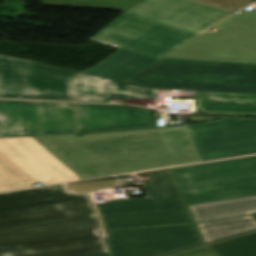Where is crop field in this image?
Wrapping results in <instances>:
<instances>
[{"label": "crop field", "mask_w": 256, "mask_h": 256, "mask_svg": "<svg viewBox=\"0 0 256 256\" xmlns=\"http://www.w3.org/2000/svg\"><path fill=\"white\" fill-rule=\"evenodd\" d=\"M88 194L39 188L0 194V256H159L203 244L196 225L105 231Z\"/></svg>", "instance_id": "1"}, {"label": "crop field", "mask_w": 256, "mask_h": 256, "mask_svg": "<svg viewBox=\"0 0 256 256\" xmlns=\"http://www.w3.org/2000/svg\"><path fill=\"white\" fill-rule=\"evenodd\" d=\"M33 137L83 179L256 154V119Z\"/></svg>", "instance_id": "2"}, {"label": "crop field", "mask_w": 256, "mask_h": 256, "mask_svg": "<svg viewBox=\"0 0 256 256\" xmlns=\"http://www.w3.org/2000/svg\"><path fill=\"white\" fill-rule=\"evenodd\" d=\"M232 13L195 0H143L91 38L120 50L84 73L123 81Z\"/></svg>", "instance_id": "3"}, {"label": "crop field", "mask_w": 256, "mask_h": 256, "mask_svg": "<svg viewBox=\"0 0 256 256\" xmlns=\"http://www.w3.org/2000/svg\"><path fill=\"white\" fill-rule=\"evenodd\" d=\"M150 99L154 89L0 55V98L106 102Z\"/></svg>", "instance_id": "4"}, {"label": "crop field", "mask_w": 256, "mask_h": 256, "mask_svg": "<svg viewBox=\"0 0 256 256\" xmlns=\"http://www.w3.org/2000/svg\"><path fill=\"white\" fill-rule=\"evenodd\" d=\"M125 82L151 88L256 93V65L162 58Z\"/></svg>", "instance_id": "5"}, {"label": "crop field", "mask_w": 256, "mask_h": 256, "mask_svg": "<svg viewBox=\"0 0 256 256\" xmlns=\"http://www.w3.org/2000/svg\"><path fill=\"white\" fill-rule=\"evenodd\" d=\"M171 171L188 205L256 195V156Z\"/></svg>", "instance_id": "6"}, {"label": "crop field", "mask_w": 256, "mask_h": 256, "mask_svg": "<svg viewBox=\"0 0 256 256\" xmlns=\"http://www.w3.org/2000/svg\"><path fill=\"white\" fill-rule=\"evenodd\" d=\"M215 27L202 32L165 57L219 60L256 64V10L235 13Z\"/></svg>", "instance_id": "7"}, {"label": "crop field", "mask_w": 256, "mask_h": 256, "mask_svg": "<svg viewBox=\"0 0 256 256\" xmlns=\"http://www.w3.org/2000/svg\"><path fill=\"white\" fill-rule=\"evenodd\" d=\"M74 133L73 103L0 100V138Z\"/></svg>", "instance_id": "8"}, {"label": "crop field", "mask_w": 256, "mask_h": 256, "mask_svg": "<svg viewBox=\"0 0 256 256\" xmlns=\"http://www.w3.org/2000/svg\"><path fill=\"white\" fill-rule=\"evenodd\" d=\"M96 205L105 230L194 223L182 196L115 200Z\"/></svg>", "instance_id": "9"}, {"label": "crop field", "mask_w": 256, "mask_h": 256, "mask_svg": "<svg viewBox=\"0 0 256 256\" xmlns=\"http://www.w3.org/2000/svg\"><path fill=\"white\" fill-rule=\"evenodd\" d=\"M0 149L36 182L50 185L82 179L32 137L1 138Z\"/></svg>", "instance_id": "10"}, {"label": "crop field", "mask_w": 256, "mask_h": 256, "mask_svg": "<svg viewBox=\"0 0 256 256\" xmlns=\"http://www.w3.org/2000/svg\"><path fill=\"white\" fill-rule=\"evenodd\" d=\"M78 133L152 127L151 110L128 105L76 104Z\"/></svg>", "instance_id": "11"}, {"label": "crop field", "mask_w": 256, "mask_h": 256, "mask_svg": "<svg viewBox=\"0 0 256 256\" xmlns=\"http://www.w3.org/2000/svg\"><path fill=\"white\" fill-rule=\"evenodd\" d=\"M197 109L203 113L256 115V94L196 91Z\"/></svg>", "instance_id": "12"}, {"label": "crop field", "mask_w": 256, "mask_h": 256, "mask_svg": "<svg viewBox=\"0 0 256 256\" xmlns=\"http://www.w3.org/2000/svg\"><path fill=\"white\" fill-rule=\"evenodd\" d=\"M195 223L256 213V196L188 206Z\"/></svg>", "instance_id": "13"}, {"label": "crop field", "mask_w": 256, "mask_h": 256, "mask_svg": "<svg viewBox=\"0 0 256 256\" xmlns=\"http://www.w3.org/2000/svg\"><path fill=\"white\" fill-rule=\"evenodd\" d=\"M141 0H43V4L127 10ZM228 10L237 11L252 0H198Z\"/></svg>", "instance_id": "14"}, {"label": "crop field", "mask_w": 256, "mask_h": 256, "mask_svg": "<svg viewBox=\"0 0 256 256\" xmlns=\"http://www.w3.org/2000/svg\"><path fill=\"white\" fill-rule=\"evenodd\" d=\"M204 242L213 241L256 228L252 216L196 224Z\"/></svg>", "instance_id": "15"}, {"label": "crop field", "mask_w": 256, "mask_h": 256, "mask_svg": "<svg viewBox=\"0 0 256 256\" xmlns=\"http://www.w3.org/2000/svg\"><path fill=\"white\" fill-rule=\"evenodd\" d=\"M154 181L142 185L149 197L182 195L170 169L151 172Z\"/></svg>", "instance_id": "16"}, {"label": "crop field", "mask_w": 256, "mask_h": 256, "mask_svg": "<svg viewBox=\"0 0 256 256\" xmlns=\"http://www.w3.org/2000/svg\"><path fill=\"white\" fill-rule=\"evenodd\" d=\"M219 256H256V233L209 246Z\"/></svg>", "instance_id": "17"}, {"label": "crop field", "mask_w": 256, "mask_h": 256, "mask_svg": "<svg viewBox=\"0 0 256 256\" xmlns=\"http://www.w3.org/2000/svg\"><path fill=\"white\" fill-rule=\"evenodd\" d=\"M118 185H122L120 180L72 184V185H66V189L73 193H80V192L96 191V190L108 188L111 186H118Z\"/></svg>", "instance_id": "18"}, {"label": "crop field", "mask_w": 256, "mask_h": 256, "mask_svg": "<svg viewBox=\"0 0 256 256\" xmlns=\"http://www.w3.org/2000/svg\"><path fill=\"white\" fill-rule=\"evenodd\" d=\"M178 256H218L217 254H215L211 249H209L208 247L206 248H202L199 250H195L192 252H188L185 254H181Z\"/></svg>", "instance_id": "19"}]
</instances>
